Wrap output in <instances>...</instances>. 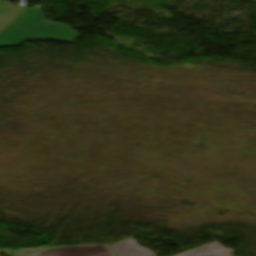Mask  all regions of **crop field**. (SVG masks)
Segmentation results:
<instances>
[{"instance_id":"1","label":"crop field","mask_w":256,"mask_h":256,"mask_svg":"<svg viewBox=\"0 0 256 256\" xmlns=\"http://www.w3.org/2000/svg\"><path fill=\"white\" fill-rule=\"evenodd\" d=\"M77 33L68 26L46 22L38 9H24L1 33L0 48L20 46L25 40L73 43Z\"/></svg>"},{"instance_id":"2","label":"crop field","mask_w":256,"mask_h":256,"mask_svg":"<svg viewBox=\"0 0 256 256\" xmlns=\"http://www.w3.org/2000/svg\"><path fill=\"white\" fill-rule=\"evenodd\" d=\"M118 256H154L152 251L136 244L134 238L112 243ZM235 250L224 249L217 241L174 256H232Z\"/></svg>"},{"instance_id":"3","label":"crop field","mask_w":256,"mask_h":256,"mask_svg":"<svg viewBox=\"0 0 256 256\" xmlns=\"http://www.w3.org/2000/svg\"><path fill=\"white\" fill-rule=\"evenodd\" d=\"M26 256H116L109 245L46 248Z\"/></svg>"},{"instance_id":"4","label":"crop field","mask_w":256,"mask_h":256,"mask_svg":"<svg viewBox=\"0 0 256 256\" xmlns=\"http://www.w3.org/2000/svg\"><path fill=\"white\" fill-rule=\"evenodd\" d=\"M20 8L0 3V32L21 12Z\"/></svg>"}]
</instances>
